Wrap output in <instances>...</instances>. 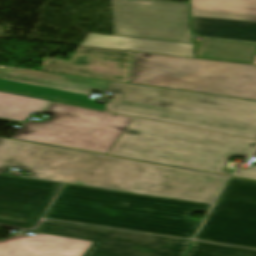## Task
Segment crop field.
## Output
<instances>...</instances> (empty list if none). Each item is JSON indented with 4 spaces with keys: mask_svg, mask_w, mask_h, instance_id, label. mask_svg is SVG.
Returning a JSON list of instances; mask_svg holds the SVG:
<instances>
[{
    "mask_svg": "<svg viewBox=\"0 0 256 256\" xmlns=\"http://www.w3.org/2000/svg\"><path fill=\"white\" fill-rule=\"evenodd\" d=\"M194 35L256 42V0H191Z\"/></svg>",
    "mask_w": 256,
    "mask_h": 256,
    "instance_id": "11",
    "label": "crop field"
},
{
    "mask_svg": "<svg viewBox=\"0 0 256 256\" xmlns=\"http://www.w3.org/2000/svg\"><path fill=\"white\" fill-rule=\"evenodd\" d=\"M61 183L0 174V224L33 228Z\"/></svg>",
    "mask_w": 256,
    "mask_h": 256,
    "instance_id": "12",
    "label": "crop field"
},
{
    "mask_svg": "<svg viewBox=\"0 0 256 256\" xmlns=\"http://www.w3.org/2000/svg\"><path fill=\"white\" fill-rule=\"evenodd\" d=\"M113 34L191 44L190 4L162 0H110Z\"/></svg>",
    "mask_w": 256,
    "mask_h": 256,
    "instance_id": "7",
    "label": "crop field"
},
{
    "mask_svg": "<svg viewBox=\"0 0 256 256\" xmlns=\"http://www.w3.org/2000/svg\"><path fill=\"white\" fill-rule=\"evenodd\" d=\"M93 242L39 233L0 240V256H82Z\"/></svg>",
    "mask_w": 256,
    "mask_h": 256,
    "instance_id": "14",
    "label": "crop field"
},
{
    "mask_svg": "<svg viewBox=\"0 0 256 256\" xmlns=\"http://www.w3.org/2000/svg\"><path fill=\"white\" fill-rule=\"evenodd\" d=\"M255 148L253 140L133 118L109 154L229 175L230 158Z\"/></svg>",
    "mask_w": 256,
    "mask_h": 256,
    "instance_id": "4",
    "label": "crop field"
},
{
    "mask_svg": "<svg viewBox=\"0 0 256 256\" xmlns=\"http://www.w3.org/2000/svg\"><path fill=\"white\" fill-rule=\"evenodd\" d=\"M129 83L256 100V65L135 52Z\"/></svg>",
    "mask_w": 256,
    "mask_h": 256,
    "instance_id": "5",
    "label": "crop field"
},
{
    "mask_svg": "<svg viewBox=\"0 0 256 256\" xmlns=\"http://www.w3.org/2000/svg\"><path fill=\"white\" fill-rule=\"evenodd\" d=\"M209 207L65 184L44 218L191 239Z\"/></svg>",
    "mask_w": 256,
    "mask_h": 256,
    "instance_id": "2",
    "label": "crop field"
},
{
    "mask_svg": "<svg viewBox=\"0 0 256 256\" xmlns=\"http://www.w3.org/2000/svg\"><path fill=\"white\" fill-rule=\"evenodd\" d=\"M108 111L256 139V102L112 82Z\"/></svg>",
    "mask_w": 256,
    "mask_h": 256,
    "instance_id": "3",
    "label": "crop field"
},
{
    "mask_svg": "<svg viewBox=\"0 0 256 256\" xmlns=\"http://www.w3.org/2000/svg\"><path fill=\"white\" fill-rule=\"evenodd\" d=\"M252 155L256 156V151ZM233 176L256 179V166L247 169L239 168Z\"/></svg>",
    "mask_w": 256,
    "mask_h": 256,
    "instance_id": "19",
    "label": "crop field"
},
{
    "mask_svg": "<svg viewBox=\"0 0 256 256\" xmlns=\"http://www.w3.org/2000/svg\"><path fill=\"white\" fill-rule=\"evenodd\" d=\"M196 239L256 248V181L230 177Z\"/></svg>",
    "mask_w": 256,
    "mask_h": 256,
    "instance_id": "8",
    "label": "crop field"
},
{
    "mask_svg": "<svg viewBox=\"0 0 256 256\" xmlns=\"http://www.w3.org/2000/svg\"><path fill=\"white\" fill-rule=\"evenodd\" d=\"M133 54L79 47L70 61L43 58L42 71L128 83Z\"/></svg>",
    "mask_w": 256,
    "mask_h": 256,
    "instance_id": "13",
    "label": "crop field"
},
{
    "mask_svg": "<svg viewBox=\"0 0 256 256\" xmlns=\"http://www.w3.org/2000/svg\"><path fill=\"white\" fill-rule=\"evenodd\" d=\"M49 103L0 92V120L23 123L32 112L44 111Z\"/></svg>",
    "mask_w": 256,
    "mask_h": 256,
    "instance_id": "17",
    "label": "crop field"
},
{
    "mask_svg": "<svg viewBox=\"0 0 256 256\" xmlns=\"http://www.w3.org/2000/svg\"><path fill=\"white\" fill-rule=\"evenodd\" d=\"M110 81L0 66V91L104 111L88 100L90 91L106 92Z\"/></svg>",
    "mask_w": 256,
    "mask_h": 256,
    "instance_id": "10",
    "label": "crop field"
},
{
    "mask_svg": "<svg viewBox=\"0 0 256 256\" xmlns=\"http://www.w3.org/2000/svg\"><path fill=\"white\" fill-rule=\"evenodd\" d=\"M10 166L31 172L32 178L208 204L225 179V176L0 138V173Z\"/></svg>",
    "mask_w": 256,
    "mask_h": 256,
    "instance_id": "1",
    "label": "crop field"
},
{
    "mask_svg": "<svg viewBox=\"0 0 256 256\" xmlns=\"http://www.w3.org/2000/svg\"><path fill=\"white\" fill-rule=\"evenodd\" d=\"M50 121L26 122L14 139L108 154L131 117L52 104Z\"/></svg>",
    "mask_w": 256,
    "mask_h": 256,
    "instance_id": "6",
    "label": "crop field"
},
{
    "mask_svg": "<svg viewBox=\"0 0 256 256\" xmlns=\"http://www.w3.org/2000/svg\"><path fill=\"white\" fill-rule=\"evenodd\" d=\"M195 44L197 58L252 63L256 55L255 43L204 38Z\"/></svg>",
    "mask_w": 256,
    "mask_h": 256,
    "instance_id": "16",
    "label": "crop field"
},
{
    "mask_svg": "<svg viewBox=\"0 0 256 256\" xmlns=\"http://www.w3.org/2000/svg\"><path fill=\"white\" fill-rule=\"evenodd\" d=\"M81 45L194 57L193 45L88 33Z\"/></svg>",
    "mask_w": 256,
    "mask_h": 256,
    "instance_id": "15",
    "label": "crop field"
},
{
    "mask_svg": "<svg viewBox=\"0 0 256 256\" xmlns=\"http://www.w3.org/2000/svg\"><path fill=\"white\" fill-rule=\"evenodd\" d=\"M36 232L95 241L84 256H183L192 242L55 221Z\"/></svg>",
    "mask_w": 256,
    "mask_h": 256,
    "instance_id": "9",
    "label": "crop field"
},
{
    "mask_svg": "<svg viewBox=\"0 0 256 256\" xmlns=\"http://www.w3.org/2000/svg\"><path fill=\"white\" fill-rule=\"evenodd\" d=\"M185 256H256V250L194 242Z\"/></svg>",
    "mask_w": 256,
    "mask_h": 256,
    "instance_id": "18",
    "label": "crop field"
},
{
    "mask_svg": "<svg viewBox=\"0 0 256 256\" xmlns=\"http://www.w3.org/2000/svg\"><path fill=\"white\" fill-rule=\"evenodd\" d=\"M253 63H256V57H255V60H254V62Z\"/></svg>",
    "mask_w": 256,
    "mask_h": 256,
    "instance_id": "20",
    "label": "crop field"
}]
</instances>
